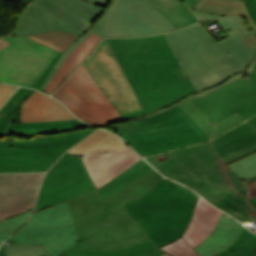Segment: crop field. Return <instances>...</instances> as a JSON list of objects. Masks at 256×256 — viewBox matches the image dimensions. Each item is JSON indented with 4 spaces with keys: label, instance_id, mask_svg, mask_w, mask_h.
<instances>
[{
    "label": "crop field",
    "instance_id": "obj_32",
    "mask_svg": "<svg viewBox=\"0 0 256 256\" xmlns=\"http://www.w3.org/2000/svg\"><path fill=\"white\" fill-rule=\"evenodd\" d=\"M61 54H57V56L53 59V61L50 63V65L46 68V70L43 72V74L40 76V78L37 80V82L34 84L33 88L40 90L42 92H45L43 89H41V85L44 82V80L47 78L51 70L54 68L58 60L60 59ZM50 95V94H49Z\"/></svg>",
    "mask_w": 256,
    "mask_h": 256
},
{
    "label": "crop field",
    "instance_id": "obj_4",
    "mask_svg": "<svg viewBox=\"0 0 256 256\" xmlns=\"http://www.w3.org/2000/svg\"><path fill=\"white\" fill-rule=\"evenodd\" d=\"M108 41L146 114L197 93L163 34Z\"/></svg>",
    "mask_w": 256,
    "mask_h": 256
},
{
    "label": "crop field",
    "instance_id": "obj_23",
    "mask_svg": "<svg viewBox=\"0 0 256 256\" xmlns=\"http://www.w3.org/2000/svg\"><path fill=\"white\" fill-rule=\"evenodd\" d=\"M65 253L90 256H161L165 254L161 250L157 249L151 240L121 249L89 250L73 248Z\"/></svg>",
    "mask_w": 256,
    "mask_h": 256
},
{
    "label": "crop field",
    "instance_id": "obj_29",
    "mask_svg": "<svg viewBox=\"0 0 256 256\" xmlns=\"http://www.w3.org/2000/svg\"><path fill=\"white\" fill-rule=\"evenodd\" d=\"M33 209L22 214H19L13 218L0 222V244L12 233H14L25 220L30 216Z\"/></svg>",
    "mask_w": 256,
    "mask_h": 256
},
{
    "label": "crop field",
    "instance_id": "obj_8",
    "mask_svg": "<svg viewBox=\"0 0 256 256\" xmlns=\"http://www.w3.org/2000/svg\"><path fill=\"white\" fill-rule=\"evenodd\" d=\"M110 127L143 157L209 140L178 106L154 117Z\"/></svg>",
    "mask_w": 256,
    "mask_h": 256
},
{
    "label": "crop field",
    "instance_id": "obj_10",
    "mask_svg": "<svg viewBox=\"0 0 256 256\" xmlns=\"http://www.w3.org/2000/svg\"><path fill=\"white\" fill-rule=\"evenodd\" d=\"M82 129L32 139H0V173L47 171L59 156L92 132Z\"/></svg>",
    "mask_w": 256,
    "mask_h": 256
},
{
    "label": "crop field",
    "instance_id": "obj_7",
    "mask_svg": "<svg viewBox=\"0 0 256 256\" xmlns=\"http://www.w3.org/2000/svg\"><path fill=\"white\" fill-rule=\"evenodd\" d=\"M250 76L178 106L211 140L256 114V67Z\"/></svg>",
    "mask_w": 256,
    "mask_h": 256
},
{
    "label": "crop field",
    "instance_id": "obj_43",
    "mask_svg": "<svg viewBox=\"0 0 256 256\" xmlns=\"http://www.w3.org/2000/svg\"><path fill=\"white\" fill-rule=\"evenodd\" d=\"M10 44H11V43H9V42H7V41H5V40H3V39L0 38V50H1L2 48H4V47L10 45Z\"/></svg>",
    "mask_w": 256,
    "mask_h": 256
},
{
    "label": "crop field",
    "instance_id": "obj_37",
    "mask_svg": "<svg viewBox=\"0 0 256 256\" xmlns=\"http://www.w3.org/2000/svg\"><path fill=\"white\" fill-rule=\"evenodd\" d=\"M248 48L256 46V36L251 33L245 36Z\"/></svg>",
    "mask_w": 256,
    "mask_h": 256
},
{
    "label": "crop field",
    "instance_id": "obj_6",
    "mask_svg": "<svg viewBox=\"0 0 256 256\" xmlns=\"http://www.w3.org/2000/svg\"><path fill=\"white\" fill-rule=\"evenodd\" d=\"M197 200L194 192L164 178L124 206L159 248L183 235Z\"/></svg>",
    "mask_w": 256,
    "mask_h": 256
},
{
    "label": "crop field",
    "instance_id": "obj_19",
    "mask_svg": "<svg viewBox=\"0 0 256 256\" xmlns=\"http://www.w3.org/2000/svg\"><path fill=\"white\" fill-rule=\"evenodd\" d=\"M222 212L199 197L184 238L194 248L212 232Z\"/></svg>",
    "mask_w": 256,
    "mask_h": 256
},
{
    "label": "crop field",
    "instance_id": "obj_45",
    "mask_svg": "<svg viewBox=\"0 0 256 256\" xmlns=\"http://www.w3.org/2000/svg\"><path fill=\"white\" fill-rule=\"evenodd\" d=\"M63 256H78V255H69V254H65Z\"/></svg>",
    "mask_w": 256,
    "mask_h": 256
},
{
    "label": "crop field",
    "instance_id": "obj_11",
    "mask_svg": "<svg viewBox=\"0 0 256 256\" xmlns=\"http://www.w3.org/2000/svg\"><path fill=\"white\" fill-rule=\"evenodd\" d=\"M67 152L81 157L97 189L141 159L121 138L100 129Z\"/></svg>",
    "mask_w": 256,
    "mask_h": 256
},
{
    "label": "crop field",
    "instance_id": "obj_40",
    "mask_svg": "<svg viewBox=\"0 0 256 256\" xmlns=\"http://www.w3.org/2000/svg\"><path fill=\"white\" fill-rule=\"evenodd\" d=\"M86 1H89V2H92V3H95V4H99V5H103V6H106L107 2L109 0H86Z\"/></svg>",
    "mask_w": 256,
    "mask_h": 256
},
{
    "label": "crop field",
    "instance_id": "obj_21",
    "mask_svg": "<svg viewBox=\"0 0 256 256\" xmlns=\"http://www.w3.org/2000/svg\"><path fill=\"white\" fill-rule=\"evenodd\" d=\"M85 125L79 120L10 124L5 135L32 136L43 132L72 130Z\"/></svg>",
    "mask_w": 256,
    "mask_h": 256
},
{
    "label": "crop field",
    "instance_id": "obj_9",
    "mask_svg": "<svg viewBox=\"0 0 256 256\" xmlns=\"http://www.w3.org/2000/svg\"><path fill=\"white\" fill-rule=\"evenodd\" d=\"M103 11L82 0H37L18 18L13 33L32 35L58 29L81 36Z\"/></svg>",
    "mask_w": 256,
    "mask_h": 256
},
{
    "label": "crop field",
    "instance_id": "obj_3",
    "mask_svg": "<svg viewBox=\"0 0 256 256\" xmlns=\"http://www.w3.org/2000/svg\"><path fill=\"white\" fill-rule=\"evenodd\" d=\"M193 12L202 20L216 19L226 29L230 28V32L225 31L229 37L216 42L200 23L166 33L178 62H181L184 72L199 93L149 113L148 117L162 113L189 98L204 96L254 69L256 47L247 49L244 35L251 33V30L243 17Z\"/></svg>",
    "mask_w": 256,
    "mask_h": 256
},
{
    "label": "crop field",
    "instance_id": "obj_48",
    "mask_svg": "<svg viewBox=\"0 0 256 256\" xmlns=\"http://www.w3.org/2000/svg\"><path fill=\"white\" fill-rule=\"evenodd\" d=\"M255 253H256V251H255Z\"/></svg>",
    "mask_w": 256,
    "mask_h": 256
},
{
    "label": "crop field",
    "instance_id": "obj_35",
    "mask_svg": "<svg viewBox=\"0 0 256 256\" xmlns=\"http://www.w3.org/2000/svg\"><path fill=\"white\" fill-rule=\"evenodd\" d=\"M244 1L253 22L256 24V0H244Z\"/></svg>",
    "mask_w": 256,
    "mask_h": 256
},
{
    "label": "crop field",
    "instance_id": "obj_34",
    "mask_svg": "<svg viewBox=\"0 0 256 256\" xmlns=\"http://www.w3.org/2000/svg\"><path fill=\"white\" fill-rule=\"evenodd\" d=\"M248 230L246 228H244L243 232L241 233V235L238 237V239L236 240V242L231 245L225 252L217 255V256H225L228 253H230L233 249H235L237 246H239L241 244V242L244 240L246 234H247Z\"/></svg>",
    "mask_w": 256,
    "mask_h": 256
},
{
    "label": "crop field",
    "instance_id": "obj_36",
    "mask_svg": "<svg viewBox=\"0 0 256 256\" xmlns=\"http://www.w3.org/2000/svg\"><path fill=\"white\" fill-rule=\"evenodd\" d=\"M247 197H248V199L256 197V180L251 183H248Z\"/></svg>",
    "mask_w": 256,
    "mask_h": 256
},
{
    "label": "crop field",
    "instance_id": "obj_38",
    "mask_svg": "<svg viewBox=\"0 0 256 256\" xmlns=\"http://www.w3.org/2000/svg\"><path fill=\"white\" fill-rule=\"evenodd\" d=\"M143 114H145V113L142 110V111H138V112L122 115V117H123V119H126V118H131V117H135V116H139V115H143Z\"/></svg>",
    "mask_w": 256,
    "mask_h": 256
},
{
    "label": "crop field",
    "instance_id": "obj_15",
    "mask_svg": "<svg viewBox=\"0 0 256 256\" xmlns=\"http://www.w3.org/2000/svg\"><path fill=\"white\" fill-rule=\"evenodd\" d=\"M95 190L80 157L65 153L47 172L36 210Z\"/></svg>",
    "mask_w": 256,
    "mask_h": 256
},
{
    "label": "crop field",
    "instance_id": "obj_2",
    "mask_svg": "<svg viewBox=\"0 0 256 256\" xmlns=\"http://www.w3.org/2000/svg\"><path fill=\"white\" fill-rule=\"evenodd\" d=\"M254 151L256 131L244 122L206 143L145 159L246 224L256 222V198L247 199V184L225 165Z\"/></svg>",
    "mask_w": 256,
    "mask_h": 256
},
{
    "label": "crop field",
    "instance_id": "obj_27",
    "mask_svg": "<svg viewBox=\"0 0 256 256\" xmlns=\"http://www.w3.org/2000/svg\"><path fill=\"white\" fill-rule=\"evenodd\" d=\"M227 166L245 181L256 175V152Z\"/></svg>",
    "mask_w": 256,
    "mask_h": 256
},
{
    "label": "crop field",
    "instance_id": "obj_5",
    "mask_svg": "<svg viewBox=\"0 0 256 256\" xmlns=\"http://www.w3.org/2000/svg\"><path fill=\"white\" fill-rule=\"evenodd\" d=\"M187 8L181 0H113L93 25L62 55L41 88L47 86L67 55L93 32L103 37L166 32L198 22Z\"/></svg>",
    "mask_w": 256,
    "mask_h": 256
},
{
    "label": "crop field",
    "instance_id": "obj_20",
    "mask_svg": "<svg viewBox=\"0 0 256 256\" xmlns=\"http://www.w3.org/2000/svg\"><path fill=\"white\" fill-rule=\"evenodd\" d=\"M103 37L93 33L83 43H81L72 53L68 55L62 66L56 72L48 86L44 89L52 94L55 89L66 79L89 56L96 45Z\"/></svg>",
    "mask_w": 256,
    "mask_h": 256
},
{
    "label": "crop field",
    "instance_id": "obj_42",
    "mask_svg": "<svg viewBox=\"0 0 256 256\" xmlns=\"http://www.w3.org/2000/svg\"><path fill=\"white\" fill-rule=\"evenodd\" d=\"M191 9L199 0H183Z\"/></svg>",
    "mask_w": 256,
    "mask_h": 256
},
{
    "label": "crop field",
    "instance_id": "obj_44",
    "mask_svg": "<svg viewBox=\"0 0 256 256\" xmlns=\"http://www.w3.org/2000/svg\"><path fill=\"white\" fill-rule=\"evenodd\" d=\"M255 179H256V176L253 177L252 179H249V180L245 181V182L248 183V182L253 181V180H255Z\"/></svg>",
    "mask_w": 256,
    "mask_h": 256
},
{
    "label": "crop field",
    "instance_id": "obj_1",
    "mask_svg": "<svg viewBox=\"0 0 256 256\" xmlns=\"http://www.w3.org/2000/svg\"><path fill=\"white\" fill-rule=\"evenodd\" d=\"M162 178L153 169L102 202L95 190L35 212L8 241L43 244L58 256L73 247L113 249L149 240L122 203L140 197Z\"/></svg>",
    "mask_w": 256,
    "mask_h": 256
},
{
    "label": "crop field",
    "instance_id": "obj_22",
    "mask_svg": "<svg viewBox=\"0 0 256 256\" xmlns=\"http://www.w3.org/2000/svg\"><path fill=\"white\" fill-rule=\"evenodd\" d=\"M192 9L223 15L244 16L248 26L256 35V25L251 21L243 0H200Z\"/></svg>",
    "mask_w": 256,
    "mask_h": 256
},
{
    "label": "crop field",
    "instance_id": "obj_30",
    "mask_svg": "<svg viewBox=\"0 0 256 256\" xmlns=\"http://www.w3.org/2000/svg\"><path fill=\"white\" fill-rule=\"evenodd\" d=\"M160 249L171 256H199L183 237Z\"/></svg>",
    "mask_w": 256,
    "mask_h": 256
},
{
    "label": "crop field",
    "instance_id": "obj_24",
    "mask_svg": "<svg viewBox=\"0 0 256 256\" xmlns=\"http://www.w3.org/2000/svg\"><path fill=\"white\" fill-rule=\"evenodd\" d=\"M153 169L149 164H147L143 159L139 160L129 169L121 173L119 176L102 186L98 189L101 200L109 197L116 191L120 190L127 184L131 183L135 179L139 178L146 172Z\"/></svg>",
    "mask_w": 256,
    "mask_h": 256
},
{
    "label": "crop field",
    "instance_id": "obj_25",
    "mask_svg": "<svg viewBox=\"0 0 256 256\" xmlns=\"http://www.w3.org/2000/svg\"><path fill=\"white\" fill-rule=\"evenodd\" d=\"M25 37L47 45L62 54L79 38L58 30Z\"/></svg>",
    "mask_w": 256,
    "mask_h": 256
},
{
    "label": "crop field",
    "instance_id": "obj_33",
    "mask_svg": "<svg viewBox=\"0 0 256 256\" xmlns=\"http://www.w3.org/2000/svg\"><path fill=\"white\" fill-rule=\"evenodd\" d=\"M17 87L0 84V106L4 103Z\"/></svg>",
    "mask_w": 256,
    "mask_h": 256
},
{
    "label": "crop field",
    "instance_id": "obj_41",
    "mask_svg": "<svg viewBox=\"0 0 256 256\" xmlns=\"http://www.w3.org/2000/svg\"><path fill=\"white\" fill-rule=\"evenodd\" d=\"M246 122L256 130V115Z\"/></svg>",
    "mask_w": 256,
    "mask_h": 256
},
{
    "label": "crop field",
    "instance_id": "obj_16",
    "mask_svg": "<svg viewBox=\"0 0 256 256\" xmlns=\"http://www.w3.org/2000/svg\"><path fill=\"white\" fill-rule=\"evenodd\" d=\"M43 174H0V221L34 207Z\"/></svg>",
    "mask_w": 256,
    "mask_h": 256
},
{
    "label": "crop field",
    "instance_id": "obj_18",
    "mask_svg": "<svg viewBox=\"0 0 256 256\" xmlns=\"http://www.w3.org/2000/svg\"><path fill=\"white\" fill-rule=\"evenodd\" d=\"M242 225L222 213L210 236L194 248L200 256H214L226 250L242 231Z\"/></svg>",
    "mask_w": 256,
    "mask_h": 256
},
{
    "label": "crop field",
    "instance_id": "obj_28",
    "mask_svg": "<svg viewBox=\"0 0 256 256\" xmlns=\"http://www.w3.org/2000/svg\"><path fill=\"white\" fill-rule=\"evenodd\" d=\"M4 251H6L8 256H50L43 245L2 244L0 253Z\"/></svg>",
    "mask_w": 256,
    "mask_h": 256
},
{
    "label": "crop field",
    "instance_id": "obj_12",
    "mask_svg": "<svg viewBox=\"0 0 256 256\" xmlns=\"http://www.w3.org/2000/svg\"><path fill=\"white\" fill-rule=\"evenodd\" d=\"M52 96L61 100L77 117L91 124L102 125L123 120L83 64Z\"/></svg>",
    "mask_w": 256,
    "mask_h": 256
},
{
    "label": "crop field",
    "instance_id": "obj_31",
    "mask_svg": "<svg viewBox=\"0 0 256 256\" xmlns=\"http://www.w3.org/2000/svg\"><path fill=\"white\" fill-rule=\"evenodd\" d=\"M252 233L248 232L243 243L227 256H256L253 253L256 250V235Z\"/></svg>",
    "mask_w": 256,
    "mask_h": 256
},
{
    "label": "crop field",
    "instance_id": "obj_47",
    "mask_svg": "<svg viewBox=\"0 0 256 256\" xmlns=\"http://www.w3.org/2000/svg\"><path fill=\"white\" fill-rule=\"evenodd\" d=\"M164 256H169V255L166 254V255H164Z\"/></svg>",
    "mask_w": 256,
    "mask_h": 256
},
{
    "label": "crop field",
    "instance_id": "obj_46",
    "mask_svg": "<svg viewBox=\"0 0 256 256\" xmlns=\"http://www.w3.org/2000/svg\"><path fill=\"white\" fill-rule=\"evenodd\" d=\"M0 256H7V255H6V253L4 252V253L0 254Z\"/></svg>",
    "mask_w": 256,
    "mask_h": 256
},
{
    "label": "crop field",
    "instance_id": "obj_26",
    "mask_svg": "<svg viewBox=\"0 0 256 256\" xmlns=\"http://www.w3.org/2000/svg\"><path fill=\"white\" fill-rule=\"evenodd\" d=\"M34 92V90L20 87L1 108L0 112L4 114L0 117V119L8 123H19L21 105L23 104V101Z\"/></svg>",
    "mask_w": 256,
    "mask_h": 256
},
{
    "label": "crop field",
    "instance_id": "obj_39",
    "mask_svg": "<svg viewBox=\"0 0 256 256\" xmlns=\"http://www.w3.org/2000/svg\"><path fill=\"white\" fill-rule=\"evenodd\" d=\"M7 126H8V123L0 120V136L4 135Z\"/></svg>",
    "mask_w": 256,
    "mask_h": 256
},
{
    "label": "crop field",
    "instance_id": "obj_14",
    "mask_svg": "<svg viewBox=\"0 0 256 256\" xmlns=\"http://www.w3.org/2000/svg\"><path fill=\"white\" fill-rule=\"evenodd\" d=\"M83 64L121 115L142 110L122 67L106 39Z\"/></svg>",
    "mask_w": 256,
    "mask_h": 256
},
{
    "label": "crop field",
    "instance_id": "obj_13",
    "mask_svg": "<svg viewBox=\"0 0 256 256\" xmlns=\"http://www.w3.org/2000/svg\"><path fill=\"white\" fill-rule=\"evenodd\" d=\"M3 39L12 44L0 51V82L32 87L57 52L25 37Z\"/></svg>",
    "mask_w": 256,
    "mask_h": 256
},
{
    "label": "crop field",
    "instance_id": "obj_17",
    "mask_svg": "<svg viewBox=\"0 0 256 256\" xmlns=\"http://www.w3.org/2000/svg\"><path fill=\"white\" fill-rule=\"evenodd\" d=\"M77 119L58 101L36 91L22 105L21 122Z\"/></svg>",
    "mask_w": 256,
    "mask_h": 256
}]
</instances>
